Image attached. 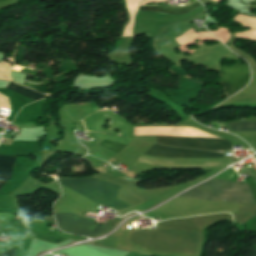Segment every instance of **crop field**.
<instances>
[{
  "label": "crop field",
  "instance_id": "ac0d7876",
  "mask_svg": "<svg viewBox=\"0 0 256 256\" xmlns=\"http://www.w3.org/2000/svg\"><path fill=\"white\" fill-rule=\"evenodd\" d=\"M84 185H86L87 187L105 195V196H108L112 199L115 198L118 190H119V186H116V185H112V184H109V183H106V182H102V181H99V180H96V179H92V178H89V177H82V178H72ZM59 181L61 184L77 191L78 193L84 195L85 197L97 202V203H100L102 205H106V206H109V207H112L114 208L116 211L118 210H121V209H124V208H127L125 207L124 205L130 207L129 205L125 204V203H122L124 205H122L121 203L115 201V200H112L110 198H107L69 178H62V177H59Z\"/></svg>",
  "mask_w": 256,
  "mask_h": 256
},
{
  "label": "crop field",
  "instance_id": "5a996713",
  "mask_svg": "<svg viewBox=\"0 0 256 256\" xmlns=\"http://www.w3.org/2000/svg\"><path fill=\"white\" fill-rule=\"evenodd\" d=\"M7 88L10 89V90H13V91H15V92H18V93H20V94H23V95H25V96H28V97H30V98H33V99H35V100H38V99H40V98L45 97V96H43V95H41V94H39V93H37V92L31 90V89H27V88L20 87V86H18V85H16V84H13L12 82L9 83V85H8Z\"/></svg>",
  "mask_w": 256,
  "mask_h": 256
},
{
  "label": "crop field",
  "instance_id": "8a807250",
  "mask_svg": "<svg viewBox=\"0 0 256 256\" xmlns=\"http://www.w3.org/2000/svg\"><path fill=\"white\" fill-rule=\"evenodd\" d=\"M211 201L256 203L248 184L212 178L180 195Z\"/></svg>",
  "mask_w": 256,
  "mask_h": 256
},
{
  "label": "crop field",
  "instance_id": "d8731c3e",
  "mask_svg": "<svg viewBox=\"0 0 256 256\" xmlns=\"http://www.w3.org/2000/svg\"><path fill=\"white\" fill-rule=\"evenodd\" d=\"M14 156H1L0 155V176L10 177L15 162ZM6 177H0V188L9 179Z\"/></svg>",
  "mask_w": 256,
  "mask_h": 256
},
{
  "label": "crop field",
  "instance_id": "d1516ede",
  "mask_svg": "<svg viewBox=\"0 0 256 256\" xmlns=\"http://www.w3.org/2000/svg\"><path fill=\"white\" fill-rule=\"evenodd\" d=\"M83 125H84V127H85V124H84V122H83ZM85 130H86V127H85Z\"/></svg>",
  "mask_w": 256,
  "mask_h": 256
},
{
  "label": "crop field",
  "instance_id": "dd49c442",
  "mask_svg": "<svg viewBox=\"0 0 256 256\" xmlns=\"http://www.w3.org/2000/svg\"><path fill=\"white\" fill-rule=\"evenodd\" d=\"M151 148V147H150ZM144 154L160 157L223 158L224 153L167 147L155 144Z\"/></svg>",
  "mask_w": 256,
  "mask_h": 256
},
{
  "label": "crop field",
  "instance_id": "f4fd0767",
  "mask_svg": "<svg viewBox=\"0 0 256 256\" xmlns=\"http://www.w3.org/2000/svg\"><path fill=\"white\" fill-rule=\"evenodd\" d=\"M250 79L248 67L245 64H237L231 67H222L220 83L224 85L228 95L233 94L244 87Z\"/></svg>",
  "mask_w": 256,
  "mask_h": 256
},
{
  "label": "crop field",
  "instance_id": "3316defc",
  "mask_svg": "<svg viewBox=\"0 0 256 256\" xmlns=\"http://www.w3.org/2000/svg\"><path fill=\"white\" fill-rule=\"evenodd\" d=\"M234 131H252L256 130V123H230L229 124Z\"/></svg>",
  "mask_w": 256,
  "mask_h": 256
},
{
  "label": "crop field",
  "instance_id": "e52e79f7",
  "mask_svg": "<svg viewBox=\"0 0 256 256\" xmlns=\"http://www.w3.org/2000/svg\"><path fill=\"white\" fill-rule=\"evenodd\" d=\"M202 6L201 3L195 2L192 5L184 8H171V7H163V6H149V7H140L139 10L143 11H155V12H164V13H172V14H184L188 13L198 7Z\"/></svg>",
  "mask_w": 256,
  "mask_h": 256
},
{
  "label": "crop field",
  "instance_id": "22f410ed",
  "mask_svg": "<svg viewBox=\"0 0 256 256\" xmlns=\"http://www.w3.org/2000/svg\"><path fill=\"white\" fill-rule=\"evenodd\" d=\"M53 231V230H52Z\"/></svg>",
  "mask_w": 256,
  "mask_h": 256
},
{
  "label": "crop field",
  "instance_id": "28ad6ade",
  "mask_svg": "<svg viewBox=\"0 0 256 256\" xmlns=\"http://www.w3.org/2000/svg\"><path fill=\"white\" fill-rule=\"evenodd\" d=\"M0 256H14V253H13V250L11 249L7 252L0 254Z\"/></svg>",
  "mask_w": 256,
  "mask_h": 256
},
{
  "label": "crop field",
  "instance_id": "412701ff",
  "mask_svg": "<svg viewBox=\"0 0 256 256\" xmlns=\"http://www.w3.org/2000/svg\"><path fill=\"white\" fill-rule=\"evenodd\" d=\"M54 216L60 229L83 236L93 237L107 228V226H100L75 214L62 213Z\"/></svg>",
  "mask_w": 256,
  "mask_h": 256
},
{
  "label": "crop field",
  "instance_id": "34b2d1b8",
  "mask_svg": "<svg viewBox=\"0 0 256 256\" xmlns=\"http://www.w3.org/2000/svg\"><path fill=\"white\" fill-rule=\"evenodd\" d=\"M158 144L171 145L184 148H193L201 150H231L232 146L229 141L224 139L212 138H190V137H168L158 136Z\"/></svg>",
  "mask_w": 256,
  "mask_h": 256
}]
</instances>
